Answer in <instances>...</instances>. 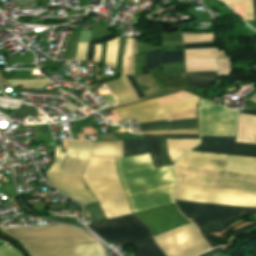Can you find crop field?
<instances>
[{
    "mask_svg": "<svg viewBox=\"0 0 256 256\" xmlns=\"http://www.w3.org/2000/svg\"><path fill=\"white\" fill-rule=\"evenodd\" d=\"M56 146L55 159L46 176L65 195L83 204L98 200L107 219L132 213L126 194L116 174L114 159L91 158L83 179L94 196L86 189L81 176H60L65 153ZM91 157H123L122 141L98 142L92 146ZM118 171L126 192L176 180L172 166L154 168L149 153L117 159ZM175 183L128 193L133 212L174 203Z\"/></svg>",
    "mask_w": 256,
    "mask_h": 256,
    "instance_id": "1",
    "label": "crop field"
},
{
    "mask_svg": "<svg viewBox=\"0 0 256 256\" xmlns=\"http://www.w3.org/2000/svg\"><path fill=\"white\" fill-rule=\"evenodd\" d=\"M202 143L191 151L256 157V145L234 143V137L201 136ZM236 142L256 144V116L239 117ZM188 152L175 165L219 171L256 174V158ZM174 167L178 182L256 191V176Z\"/></svg>",
    "mask_w": 256,
    "mask_h": 256,
    "instance_id": "2",
    "label": "crop field"
},
{
    "mask_svg": "<svg viewBox=\"0 0 256 256\" xmlns=\"http://www.w3.org/2000/svg\"><path fill=\"white\" fill-rule=\"evenodd\" d=\"M175 200L214 203L256 208V192L222 189L178 183ZM175 201L187 218L191 217L211 248L219 245L209 239V234L222 232L236 219L256 213V209Z\"/></svg>",
    "mask_w": 256,
    "mask_h": 256,
    "instance_id": "3",
    "label": "crop field"
},
{
    "mask_svg": "<svg viewBox=\"0 0 256 256\" xmlns=\"http://www.w3.org/2000/svg\"><path fill=\"white\" fill-rule=\"evenodd\" d=\"M1 232L18 239L23 244L94 242L91 237L74 228L59 225L36 228L2 227Z\"/></svg>",
    "mask_w": 256,
    "mask_h": 256,
    "instance_id": "4",
    "label": "crop field"
},
{
    "mask_svg": "<svg viewBox=\"0 0 256 256\" xmlns=\"http://www.w3.org/2000/svg\"><path fill=\"white\" fill-rule=\"evenodd\" d=\"M87 226L108 244L124 242L128 245L152 236L149 229L132 214Z\"/></svg>",
    "mask_w": 256,
    "mask_h": 256,
    "instance_id": "5",
    "label": "crop field"
},
{
    "mask_svg": "<svg viewBox=\"0 0 256 256\" xmlns=\"http://www.w3.org/2000/svg\"><path fill=\"white\" fill-rule=\"evenodd\" d=\"M154 238L167 256H196L208 250L191 223Z\"/></svg>",
    "mask_w": 256,
    "mask_h": 256,
    "instance_id": "6",
    "label": "crop field"
},
{
    "mask_svg": "<svg viewBox=\"0 0 256 256\" xmlns=\"http://www.w3.org/2000/svg\"><path fill=\"white\" fill-rule=\"evenodd\" d=\"M198 117L200 134L234 135L235 111L201 100Z\"/></svg>",
    "mask_w": 256,
    "mask_h": 256,
    "instance_id": "7",
    "label": "crop field"
},
{
    "mask_svg": "<svg viewBox=\"0 0 256 256\" xmlns=\"http://www.w3.org/2000/svg\"><path fill=\"white\" fill-rule=\"evenodd\" d=\"M198 99L199 98L195 97L163 108H160L158 102L154 99L148 102L116 109V112L123 121L137 119L139 123H142L163 120L165 119L163 114L196 107Z\"/></svg>",
    "mask_w": 256,
    "mask_h": 256,
    "instance_id": "8",
    "label": "crop field"
},
{
    "mask_svg": "<svg viewBox=\"0 0 256 256\" xmlns=\"http://www.w3.org/2000/svg\"><path fill=\"white\" fill-rule=\"evenodd\" d=\"M144 139H199L197 135L144 136ZM199 144V140H167L172 162ZM124 157L149 152L147 140L123 141Z\"/></svg>",
    "mask_w": 256,
    "mask_h": 256,
    "instance_id": "9",
    "label": "crop field"
},
{
    "mask_svg": "<svg viewBox=\"0 0 256 256\" xmlns=\"http://www.w3.org/2000/svg\"><path fill=\"white\" fill-rule=\"evenodd\" d=\"M135 215L151 228L154 236L189 223L177 210L175 204L153 208Z\"/></svg>",
    "mask_w": 256,
    "mask_h": 256,
    "instance_id": "10",
    "label": "crop field"
},
{
    "mask_svg": "<svg viewBox=\"0 0 256 256\" xmlns=\"http://www.w3.org/2000/svg\"><path fill=\"white\" fill-rule=\"evenodd\" d=\"M32 256H104L98 243L74 245H24Z\"/></svg>",
    "mask_w": 256,
    "mask_h": 256,
    "instance_id": "11",
    "label": "crop field"
},
{
    "mask_svg": "<svg viewBox=\"0 0 256 256\" xmlns=\"http://www.w3.org/2000/svg\"><path fill=\"white\" fill-rule=\"evenodd\" d=\"M91 142L68 143L65 164L61 175H82L90 158Z\"/></svg>",
    "mask_w": 256,
    "mask_h": 256,
    "instance_id": "12",
    "label": "crop field"
},
{
    "mask_svg": "<svg viewBox=\"0 0 256 256\" xmlns=\"http://www.w3.org/2000/svg\"><path fill=\"white\" fill-rule=\"evenodd\" d=\"M186 72L217 71L215 49L185 50Z\"/></svg>",
    "mask_w": 256,
    "mask_h": 256,
    "instance_id": "13",
    "label": "crop field"
},
{
    "mask_svg": "<svg viewBox=\"0 0 256 256\" xmlns=\"http://www.w3.org/2000/svg\"><path fill=\"white\" fill-rule=\"evenodd\" d=\"M140 130H163V129H184L198 128L196 118L167 122L166 120L139 124Z\"/></svg>",
    "mask_w": 256,
    "mask_h": 256,
    "instance_id": "14",
    "label": "crop field"
},
{
    "mask_svg": "<svg viewBox=\"0 0 256 256\" xmlns=\"http://www.w3.org/2000/svg\"><path fill=\"white\" fill-rule=\"evenodd\" d=\"M217 77V72H193L187 73L189 87H204ZM212 84V83H211Z\"/></svg>",
    "mask_w": 256,
    "mask_h": 256,
    "instance_id": "15",
    "label": "crop field"
},
{
    "mask_svg": "<svg viewBox=\"0 0 256 256\" xmlns=\"http://www.w3.org/2000/svg\"><path fill=\"white\" fill-rule=\"evenodd\" d=\"M134 245L137 250V256H165L154 242L153 237Z\"/></svg>",
    "mask_w": 256,
    "mask_h": 256,
    "instance_id": "16",
    "label": "crop field"
},
{
    "mask_svg": "<svg viewBox=\"0 0 256 256\" xmlns=\"http://www.w3.org/2000/svg\"><path fill=\"white\" fill-rule=\"evenodd\" d=\"M118 102V104L130 102L131 99L121 81V79L109 81L105 83Z\"/></svg>",
    "mask_w": 256,
    "mask_h": 256,
    "instance_id": "17",
    "label": "crop field"
},
{
    "mask_svg": "<svg viewBox=\"0 0 256 256\" xmlns=\"http://www.w3.org/2000/svg\"><path fill=\"white\" fill-rule=\"evenodd\" d=\"M118 37L107 42V54L105 64L116 69V57L118 50Z\"/></svg>",
    "mask_w": 256,
    "mask_h": 256,
    "instance_id": "18",
    "label": "crop field"
},
{
    "mask_svg": "<svg viewBox=\"0 0 256 256\" xmlns=\"http://www.w3.org/2000/svg\"><path fill=\"white\" fill-rule=\"evenodd\" d=\"M148 144H149L151 158L155 164V167L165 165L163 157H162L159 141L158 140H148Z\"/></svg>",
    "mask_w": 256,
    "mask_h": 256,
    "instance_id": "19",
    "label": "crop field"
},
{
    "mask_svg": "<svg viewBox=\"0 0 256 256\" xmlns=\"http://www.w3.org/2000/svg\"><path fill=\"white\" fill-rule=\"evenodd\" d=\"M12 86L23 85L24 88H43L51 84L47 79L43 80H7Z\"/></svg>",
    "mask_w": 256,
    "mask_h": 256,
    "instance_id": "20",
    "label": "crop field"
},
{
    "mask_svg": "<svg viewBox=\"0 0 256 256\" xmlns=\"http://www.w3.org/2000/svg\"><path fill=\"white\" fill-rule=\"evenodd\" d=\"M226 4H237V3H244V12L245 18L256 20V0L254 1V17H253V1L252 0H221Z\"/></svg>",
    "mask_w": 256,
    "mask_h": 256,
    "instance_id": "21",
    "label": "crop field"
},
{
    "mask_svg": "<svg viewBox=\"0 0 256 256\" xmlns=\"http://www.w3.org/2000/svg\"><path fill=\"white\" fill-rule=\"evenodd\" d=\"M194 97L193 95L187 93V92H180L177 94H173V95H169V96H165V97H161V98H157V101L159 102V104L162 106L168 105V104H172L178 101H182L185 99H189Z\"/></svg>",
    "mask_w": 256,
    "mask_h": 256,
    "instance_id": "22",
    "label": "crop field"
},
{
    "mask_svg": "<svg viewBox=\"0 0 256 256\" xmlns=\"http://www.w3.org/2000/svg\"><path fill=\"white\" fill-rule=\"evenodd\" d=\"M183 43L213 41V33L182 35Z\"/></svg>",
    "mask_w": 256,
    "mask_h": 256,
    "instance_id": "23",
    "label": "crop field"
},
{
    "mask_svg": "<svg viewBox=\"0 0 256 256\" xmlns=\"http://www.w3.org/2000/svg\"><path fill=\"white\" fill-rule=\"evenodd\" d=\"M162 63L184 62V52L161 53Z\"/></svg>",
    "mask_w": 256,
    "mask_h": 256,
    "instance_id": "24",
    "label": "crop field"
},
{
    "mask_svg": "<svg viewBox=\"0 0 256 256\" xmlns=\"http://www.w3.org/2000/svg\"><path fill=\"white\" fill-rule=\"evenodd\" d=\"M147 71L160 68V52H152L146 54Z\"/></svg>",
    "mask_w": 256,
    "mask_h": 256,
    "instance_id": "25",
    "label": "crop field"
},
{
    "mask_svg": "<svg viewBox=\"0 0 256 256\" xmlns=\"http://www.w3.org/2000/svg\"><path fill=\"white\" fill-rule=\"evenodd\" d=\"M165 116L168 121L177 120V119H185V118H193V117H196V108L188 109V110H184V111H180V112H176V113H172V114H167Z\"/></svg>",
    "mask_w": 256,
    "mask_h": 256,
    "instance_id": "26",
    "label": "crop field"
},
{
    "mask_svg": "<svg viewBox=\"0 0 256 256\" xmlns=\"http://www.w3.org/2000/svg\"><path fill=\"white\" fill-rule=\"evenodd\" d=\"M219 75L229 76L231 60L230 59H218Z\"/></svg>",
    "mask_w": 256,
    "mask_h": 256,
    "instance_id": "27",
    "label": "crop field"
},
{
    "mask_svg": "<svg viewBox=\"0 0 256 256\" xmlns=\"http://www.w3.org/2000/svg\"><path fill=\"white\" fill-rule=\"evenodd\" d=\"M116 36H118V35L114 34V35L109 36V37H105V38H101V39H98V40L91 41L90 42L89 51H88L87 60L92 61V59H93V55H94V51H95L94 44L100 43V42H104V41H108V40H110V39H112V38H114Z\"/></svg>",
    "mask_w": 256,
    "mask_h": 256,
    "instance_id": "28",
    "label": "crop field"
},
{
    "mask_svg": "<svg viewBox=\"0 0 256 256\" xmlns=\"http://www.w3.org/2000/svg\"><path fill=\"white\" fill-rule=\"evenodd\" d=\"M136 44H137V40L132 39L131 54H130V57L128 58V61H129L128 74L130 75H134V54H136Z\"/></svg>",
    "mask_w": 256,
    "mask_h": 256,
    "instance_id": "29",
    "label": "crop field"
},
{
    "mask_svg": "<svg viewBox=\"0 0 256 256\" xmlns=\"http://www.w3.org/2000/svg\"><path fill=\"white\" fill-rule=\"evenodd\" d=\"M142 133H145V134H161V133H192V134H198V129L148 131V132H142Z\"/></svg>",
    "mask_w": 256,
    "mask_h": 256,
    "instance_id": "30",
    "label": "crop field"
},
{
    "mask_svg": "<svg viewBox=\"0 0 256 256\" xmlns=\"http://www.w3.org/2000/svg\"><path fill=\"white\" fill-rule=\"evenodd\" d=\"M130 48H131V39H126L125 51L123 56V69H122V73H125V74L128 68L127 56H129L130 54Z\"/></svg>",
    "mask_w": 256,
    "mask_h": 256,
    "instance_id": "31",
    "label": "crop field"
},
{
    "mask_svg": "<svg viewBox=\"0 0 256 256\" xmlns=\"http://www.w3.org/2000/svg\"><path fill=\"white\" fill-rule=\"evenodd\" d=\"M87 47L88 43L79 42L75 60H85L87 54Z\"/></svg>",
    "mask_w": 256,
    "mask_h": 256,
    "instance_id": "32",
    "label": "crop field"
},
{
    "mask_svg": "<svg viewBox=\"0 0 256 256\" xmlns=\"http://www.w3.org/2000/svg\"><path fill=\"white\" fill-rule=\"evenodd\" d=\"M121 79H122V81H123V83H124L128 93H129L132 101L138 100L139 98H138L136 92L134 91V89L132 88V86L130 85V83H129L128 79L126 78V76L121 75Z\"/></svg>",
    "mask_w": 256,
    "mask_h": 256,
    "instance_id": "33",
    "label": "crop field"
},
{
    "mask_svg": "<svg viewBox=\"0 0 256 256\" xmlns=\"http://www.w3.org/2000/svg\"><path fill=\"white\" fill-rule=\"evenodd\" d=\"M36 109L21 104L19 110L14 113L16 116L26 118L29 114L33 113Z\"/></svg>",
    "mask_w": 256,
    "mask_h": 256,
    "instance_id": "34",
    "label": "crop field"
},
{
    "mask_svg": "<svg viewBox=\"0 0 256 256\" xmlns=\"http://www.w3.org/2000/svg\"><path fill=\"white\" fill-rule=\"evenodd\" d=\"M124 42H125V38L120 39L118 57H117V71H119L120 73H121V66H122Z\"/></svg>",
    "mask_w": 256,
    "mask_h": 256,
    "instance_id": "35",
    "label": "crop field"
},
{
    "mask_svg": "<svg viewBox=\"0 0 256 256\" xmlns=\"http://www.w3.org/2000/svg\"><path fill=\"white\" fill-rule=\"evenodd\" d=\"M0 256H22L11 245L0 249Z\"/></svg>",
    "mask_w": 256,
    "mask_h": 256,
    "instance_id": "36",
    "label": "crop field"
},
{
    "mask_svg": "<svg viewBox=\"0 0 256 256\" xmlns=\"http://www.w3.org/2000/svg\"><path fill=\"white\" fill-rule=\"evenodd\" d=\"M185 49L192 48H214L213 42L184 44Z\"/></svg>",
    "mask_w": 256,
    "mask_h": 256,
    "instance_id": "37",
    "label": "crop field"
},
{
    "mask_svg": "<svg viewBox=\"0 0 256 256\" xmlns=\"http://www.w3.org/2000/svg\"><path fill=\"white\" fill-rule=\"evenodd\" d=\"M127 78L129 79L131 85L133 86V88L135 89V91L137 92L139 98H144V95L142 94V92L140 91L138 85L136 84L133 76H127Z\"/></svg>",
    "mask_w": 256,
    "mask_h": 256,
    "instance_id": "38",
    "label": "crop field"
},
{
    "mask_svg": "<svg viewBox=\"0 0 256 256\" xmlns=\"http://www.w3.org/2000/svg\"><path fill=\"white\" fill-rule=\"evenodd\" d=\"M254 227H256V223L248 225V226H246V227H244V228H242L240 230H237V231L233 232L232 235L236 236L238 234H243V233L247 232L248 230H250V229H252Z\"/></svg>",
    "mask_w": 256,
    "mask_h": 256,
    "instance_id": "39",
    "label": "crop field"
},
{
    "mask_svg": "<svg viewBox=\"0 0 256 256\" xmlns=\"http://www.w3.org/2000/svg\"><path fill=\"white\" fill-rule=\"evenodd\" d=\"M96 51H95V57L93 61H99L101 56V44L95 45Z\"/></svg>",
    "mask_w": 256,
    "mask_h": 256,
    "instance_id": "40",
    "label": "crop field"
},
{
    "mask_svg": "<svg viewBox=\"0 0 256 256\" xmlns=\"http://www.w3.org/2000/svg\"><path fill=\"white\" fill-rule=\"evenodd\" d=\"M218 252H221V250L219 248H215V249H213V250H211V251H209V252H207V253H205L203 255H200V256H211V255H214V254H216Z\"/></svg>",
    "mask_w": 256,
    "mask_h": 256,
    "instance_id": "41",
    "label": "crop field"
},
{
    "mask_svg": "<svg viewBox=\"0 0 256 256\" xmlns=\"http://www.w3.org/2000/svg\"><path fill=\"white\" fill-rule=\"evenodd\" d=\"M241 113H248V114L256 115V110H244V111H241Z\"/></svg>",
    "mask_w": 256,
    "mask_h": 256,
    "instance_id": "42",
    "label": "crop field"
},
{
    "mask_svg": "<svg viewBox=\"0 0 256 256\" xmlns=\"http://www.w3.org/2000/svg\"><path fill=\"white\" fill-rule=\"evenodd\" d=\"M250 100H252L253 102H255L256 103V96H254L252 99H250Z\"/></svg>",
    "mask_w": 256,
    "mask_h": 256,
    "instance_id": "43",
    "label": "crop field"
}]
</instances>
